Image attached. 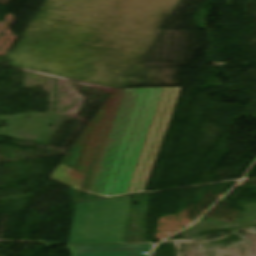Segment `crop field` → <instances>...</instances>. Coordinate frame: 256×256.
<instances>
[{"label":"crop field","mask_w":256,"mask_h":256,"mask_svg":"<svg viewBox=\"0 0 256 256\" xmlns=\"http://www.w3.org/2000/svg\"><path fill=\"white\" fill-rule=\"evenodd\" d=\"M130 203L127 196L76 204L68 244H122Z\"/></svg>","instance_id":"crop-field-1"},{"label":"crop field","mask_w":256,"mask_h":256,"mask_svg":"<svg viewBox=\"0 0 256 256\" xmlns=\"http://www.w3.org/2000/svg\"><path fill=\"white\" fill-rule=\"evenodd\" d=\"M123 90H126V89H120V90H115L114 91V93L110 96V98L106 101V103L103 105V107L97 113V115L95 116L93 121L90 123V125L87 127V129L84 131V133L81 135V137L75 143V145L72 147V149L66 155V157L63 159V161L60 163V165L57 167V169L54 171V173L52 174L51 178H53V179H55V180H57L59 182H62V183L66 184V185H68V186H70V187H72V188H74L76 190H79L81 182H82V179H83V176L85 174V171H86L87 166L89 164V161L91 159L92 153L94 151V148L96 146V143H97L98 138L100 136V133L102 131V128L104 126L106 118L108 116V113H109V110H110L111 105L113 103V100L115 98V95H116L117 91H120V93L118 95V98L116 100V103L114 105V108L112 110V113L110 115V118L108 120V123L106 125V128L104 130V133L102 135V138L100 140V143L98 145V148L96 150V153L94 155V158L92 160V163L90 165V168L88 170V173H87V176H86L85 181L83 183V186L81 188L82 191L88 192L87 191L88 186L90 184L93 172L95 170L97 161L99 159L102 147L104 145L106 136L108 134L111 122L113 120V117H114L115 111L117 109V106H118V103H119V100H120V97L122 95ZM101 111H104V113L102 115L100 123H99V125L97 127V130H96L95 135L93 137V140L91 142V145H90V148H89L88 153L86 155V158H85V161L83 163L82 169H81V171L79 173L78 170L80 168V165L82 163L84 155H85V153L87 151V148H88L89 143L91 141V138L93 136V133H94V130H95L96 124L98 122V119H99ZM85 134H86V136H85ZM84 136H85V139H84ZM83 139H84V142H83ZM82 142H83V146H82L79 158H78V162H77L75 170H73L75 162H76V159H77V156H78V153H79L81 145H82ZM73 152H74V154H73V156L71 158V161H70V163H69V165L67 167L66 165H67V163H68V161H69V159H70V157H71Z\"/></svg>","instance_id":"crop-field-2"},{"label":"crop field","mask_w":256,"mask_h":256,"mask_svg":"<svg viewBox=\"0 0 256 256\" xmlns=\"http://www.w3.org/2000/svg\"><path fill=\"white\" fill-rule=\"evenodd\" d=\"M71 256H148L152 245L67 246Z\"/></svg>","instance_id":"crop-field-3"}]
</instances>
